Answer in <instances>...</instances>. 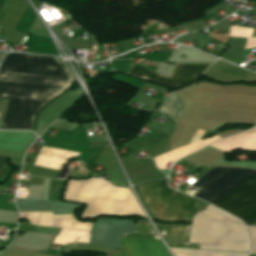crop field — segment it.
I'll return each mask as SVG.
<instances>
[{"label":"crop field","mask_w":256,"mask_h":256,"mask_svg":"<svg viewBox=\"0 0 256 256\" xmlns=\"http://www.w3.org/2000/svg\"><path fill=\"white\" fill-rule=\"evenodd\" d=\"M144 184L163 221H190L202 202L165 187L163 179ZM144 184L135 186L138 195L151 219L162 221Z\"/></svg>","instance_id":"3"},{"label":"crop field","mask_w":256,"mask_h":256,"mask_svg":"<svg viewBox=\"0 0 256 256\" xmlns=\"http://www.w3.org/2000/svg\"><path fill=\"white\" fill-rule=\"evenodd\" d=\"M53 243H55V244H61V243H56V242H53ZM61 245H65V244H61Z\"/></svg>","instance_id":"15"},{"label":"crop field","mask_w":256,"mask_h":256,"mask_svg":"<svg viewBox=\"0 0 256 256\" xmlns=\"http://www.w3.org/2000/svg\"><path fill=\"white\" fill-rule=\"evenodd\" d=\"M251 240H252V251L251 253L256 254V229L255 227H248Z\"/></svg>","instance_id":"13"},{"label":"crop field","mask_w":256,"mask_h":256,"mask_svg":"<svg viewBox=\"0 0 256 256\" xmlns=\"http://www.w3.org/2000/svg\"><path fill=\"white\" fill-rule=\"evenodd\" d=\"M246 225L256 224V182L247 180L216 204Z\"/></svg>","instance_id":"5"},{"label":"crop field","mask_w":256,"mask_h":256,"mask_svg":"<svg viewBox=\"0 0 256 256\" xmlns=\"http://www.w3.org/2000/svg\"><path fill=\"white\" fill-rule=\"evenodd\" d=\"M250 177L256 178V169L213 167L191 188L199 191L194 197L214 204Z\"/></svg>","instance_id":"4"},{"label":"crop field","mask_w":256,"mask_h":256,"mask_svg":"<svg viewBox=\"0 0 256 256\" xmlns=\"http://www.w3.org/2000/svg\"><path fill=\"white\" fill-rule=\"evenodd\" d=\"M176 256H247L248 253L215 252L193 249L171 248Z\"/></svg>","instance_id":"11"},{"label":"crop field","mask_w":256,"mask_h":256,"mask_svg":"<svg viewBox=\"0 0 256 256\" xmlns=\"http://www.w3.org/2000/svg\"><path fill=\"white\" fill-rule=\"evenodd\" d=\"M20 216H27L30 224L54 226L79 231H90L92 223H82L75 220V215L52 216L51 212H19Z\"/></svg>","instance_id":"7"},{"label":"crop field","mask_w":256,"mask_h":256,"mask_svg":"<svg viewBox=\"0 0 256 256\" xmlns=\"http://www.w3.org/2000/svg\"><path fill=\"white\" fill-rule=\"evenodd\" d=\"M249 256H255V255L250 254Z\"/></svg>","instance_id":"16"},{"label":"crop field","mask_w":256,"mask_h":256,"mask_svg":"<svg viewBox=\"0 0 256 256\" xmlns=\"http://www.w3.org/2000/svg\"><path fill=\"white\" fill-rule=\"evenodd\" d=\"M119 256H170L159 240L121 239Z\"/></svg>","instance_id":"8"},{"label":"crop field","mask_w":256,"mask_h":256,"mask_svg":"<svg viewBox=\"0 0 256 256\" xmlns=\"http://www.w3.org/2000/svg\"><path fill=\"white\" fill-rule=\"evenodd\" d=\"M188 242L213 250L249 252L250 248L246 226L212 205L193 216Z\"/></svg>","instance_id":"2"},{"label":"crop field","mask_w":256,"mask_h":256,"mask_svg":"<svg viewBox=\"0 0 256 256\" xmlns=\"http://www.w3.org/2000/svg\"><path fill=\"white\" fill-rule=\"evenodd\" d=\"M121 238H150L158 239L148 221L139 220L136 228L131 233H123Z\"/></svg>","instance_id":"12"},{"label":"crop field","mask_w":256,"mask_h":256,"mask_svg":"<svg viewBox=\"0 0 256 256\" xmlns=\"http://www.w3.org/2000/svg\"><path fill=\"white\" fill-rule=\"evenodd\" d=\"M73 82L56 58L7 53L0 66V98L10 102L1 129H33L38 110Z\"/></svg>","instance_id":"1"},{"label":"crop field","mask_w":256,"mask_h":256,"mask_svg":"<svg viewBox=\"0 0 256 256\" xmlns=\"http://www.w3.org/2000/svg\"><path fill=\"white\" fill-rule=\"evenodd\" d=\"M210 146L218 148L225 152L229 151L234 146L243 149L256 150V127L252 128L249 131L217 141Z\"/></svg>","instance_id":"9"},{"label":"crop field","mask_w":256,"mask_h":256,"mask_svg":"<svg viewBox=\"0 0 256 256\" xmlns=\"http://www.w3.org/2000/svg\"><path fill=\"white\" fill-rule=\"evenodd\" d=\"M4 157L5 156H0V170H1L2 165H3Z\"/></svg>","instance_id":"14"},{"label":"crop field","mask_w":256,"mask_h":256,"mask_svg":"<svg viewBox=\"0 0 256 256\" xmlns=\"http://www.w3.org/2000/svg\"><path fill=\"white\" fill-rule=\"evenodd\" d=\"M164 240L169 246L198 248V244H187L190 226H158Z\"/></svg>","instance_id":"10"},{"label":"crop field","mask_w":256,"mask_h":256,"mask_svg":"<svg viewBox=\"0 0 256 256\" xmlns=\"http://www.w3.org/2000/svg\"><path fill=\"white\" fill-rule=\"evenodd\" d=\"M209 65L210 64L176 65L172 79L136 65H131L128 74L158 81L162 84L179 86L193 81Z\"/></svg>","instance_id":"6"}]
</instances>
